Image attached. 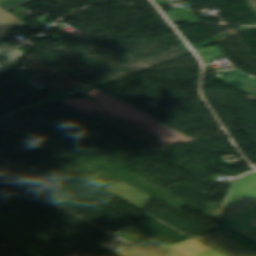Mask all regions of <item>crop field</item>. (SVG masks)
<instances>
[{
  "mask_svg": "<svg viewBox=\"0 0 256 256\" xmlns=\"http://www.w3.org/2000/svg\"><path fill=\"white\" fill-rule=\"evenodd\" d=\"M249 236L256 233V172L236 181L212 217Z\"/></svg>",
  "mask_w": 256,
  "mask_h": 256,
  "instance_id": "crop-field-1",
  "label": "crop field"
},
{
  "mask_svg": "<svg viewBox=\"0 0 256 256\" xmlns=\"http://www.w3.org/2000/svg\"><path fill=\"white\" fill-rule=\"evenodd\" d=\"M114 234L149 252L147 253L126 243L118 248L110 250L120 256H186L168 245L166 246L129 226Z\"/></svg>",
  "mask_w": 256,
  "mask_h": 256,
  "instance_id": "crop-field-2",
  "label": "crop field"
},
{
  "mask_svg": "<svg viewBox=\"0 0 256 256\" xmlns=\"http://www.w3.org/2000/svg\"><path fill=\"white\" fill-rule=\"evenodd\" d=\"M194 239L225 256H256V252L217 231L203 237H194Z\"/></svg>",
  "mask_w": 256,
  "mask_h": 256,
  "instance_id": "crop-field-3",
  "label": "crop field"
},
{
  "mask_svg": "<svg viewBox=\"0 0 256 256\" xmlns=\"http://www.w3.org/2000/svg\"><path fill=\"white\" fill-rule=\"evenodd\" d=\"M143 211L153 196L125 183L124 181L102 189Z\"/></svg>",
  "mask_w": 256,
  "mask_h": 256,
  "instance_id": "crop-field-4",
  "label": "crop field"
},
{
  "mask_svg": "<svg viewBox=\"0 0 256 256\" xmlns=\"http://www.w3.org/2000/svg\"><path fill=\"white\" fill-rule=\"evenodd\" d=\"M216 77L256 97V78L238 69L220 72Z\"/></svg>",
  "mask_w": 256,
  "mask_h": 256,
  "instance_id": "crop-field-5",
  "label": "crop field"
},
{
  "mask_svg": "<svg viewBox=\"0 0 256 256\" xmlns=\"http://www.w3.org/2000/svg\"><path fill=\"white\" fill-rule=\"evenodd\" d=\"M169 246L188 256H224L191 238Z\"/></svg>",
  "mask_w": 256,
  "mask_h": 256,
  "instance_id": "crop-field-6",
  "label": "crop field"
},
{
  "mask_svg": "<svg viewBox=\"0 0 256 256\" xmlns=\"http://www.w3.org/2000/svg\"><path fill=\"white\" fill-rule=\"evenodd\" d=\"M10 71L16 73L14 78H16V79L20 80L21 82L27 84L28 86H30L32 89H34L37 92L42 91L44 89H47L45 86H43L42 84H40L39 82H37L36 80L31 78L30 76H28L24 72H22V71L16 69L15 67L1 61L0 62V76L5 75Z\"/></svg>",
  "mask_w": 256,
  "mask_h": 256,
  "instance_id": "crop-field-7",
  "label": "crop field"
},
{
  "mask_svg": "<svg viewBox=\"0 0 256 256\" xmlns=\"http://www.w3.org/2000/svg\"><path fill=\"white\" fill-rule=\"evenodd\" d=\"M26 26L28 25L24 23L22 20L8 13V11L0 7V38L1 39L5 37L6 28L8 27L24 28Z\"/></svg>",
  "mask_w": 256,
  "mask_h": 256,
  "instance_id": "crop-field-8",
  "label": "crop field"
},
{
  "mask_svg": "<svg viewBox=\"0 0 256 256\" xmlns=\"http://www.w3.org/2000/svg\"><path fill=\"white\" fill-rule=\"evenodd\" d=\"M217 231L221 232L222 234L240 242L241 244L253 249L256 251V242L252 241L251 239L247 238L245 235L235 231L234 229L226 226V225H219L213 227Z\"/></svg>",
  "mask_w": 256,
  "mask_h": 256,
  "instance_id": "crop-field-9",
  "label": "crop field"
},
{
  "mask_svg": "<svg viewBox=\"0 0 256 256\" xmlns=\"http://www.w3.org/2000/svg\"><path fill=\"white\" fill-rule=\"evenodd\" d=\"M205 63H213L218 57L225 56L219 46L196 50Z\"/></svg>",
  "mask_w": 256,
  "mask_h": 256,
  "instance_id": "crop-field-10",
  "label": "crop field"
},
{
  "mask_svg": "<svg viewBox=\"0 0 256 256\" xmlns=\"http://www.w3.org/2000/svg\"><path fill=\"white\" fill-rule=\"evenodd\" d=\"M25 52L14 48L4 52H0V57L4 58L8 62L12 63L16 67L18 66V60L24 56Z\"/></svg>",
  "mask_w": 256,
  "mask_h": 256,
  "instance_id": "crop-field-11",
  "label": "crop field"
},
{
  "mask_svg": "<svg viewBox=\"0 0 256 256\" xmlns=\"http://www.w3.org/2000/svg\"><path fill=\"white\" fill-rule=\"evenodd\" d=\"M32 0H0V6L10 11L20 5L28 3Z\"/></svg>",
  "mask_w": 256,
  "mask_h": 256,
  "instance_id": "crop-field-12",
  "label": "crop field"
},
{
  "mask_svg": "<svg viewBox=\"0 0 256 256\" xmlns=\"http://www.w3.org/2000/svg\"><path fill=\"white\" fill-rule=\"evenodd\" d=\"M124 243H126L124 240H122L120 238H117V239H115L113 241H110L108 243H105V244H103L101 246L106 248V249H108V250H110V249L118 247V246H120V245H122Z\"/></svg>",
  "mask_w": 256,
  "mask_h": 256,
  "instance_id": "crop-field-13",
  "label": "crop field"
},
{
  "mask_svg": "<svg viewBox=\"0 0 256 256\" xmlns=\"http://www.w3.org/2000/svg\"><path fill=\"white\" fill-rule=\"evenodd\" d=\"M11 47H14V46H12V45H10V44L0 40V50L11 48Z\"/></svg>",
  "mask_w": 256,
  "mask_h": 256,
  "instance_id": "crop-field-14",
  "label": "crop field"
},
{
  "mask_svg": "<svg viewBox=\"0 0 256 256\" xmlns=\"http://www.w3.org/2000/svg\"><path fill=\"white\" fill-rule=\"evenodd\" d=\"M249 2L256 9V0H249Z\"/></svg>",
  "mask_w": 256,
  "mask_h": 256,
  "instance_id": "crop-field-15",
  "label": "crop field"
},
{
  "mask_svg": "<svg viewBox=\"0 0 256 256\" xmlns=\"http://www.w3.org/2000/svg\"><path fill=\"white\" fill-rule=\"evenodd\" d=\"M249 238H251L252 240L256 241V234L252 235V236H249Z\"/></svg>",
  "mask_w": 256,
  "mask_h": 256,
  "instance_id": "crop-field-16",
  "label": "crop field"
}]
</instances>
